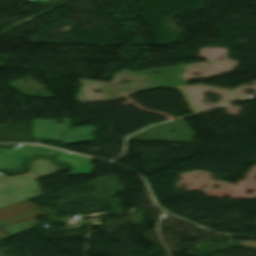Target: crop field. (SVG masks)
Wrapping results in <instances>:
<instances>
[{
  "instance_id": "9",
  "label": "crop field",
  "mask_w": 256,
  "mask_h": 256,
  "mask_svg": "<svg viewBox=\"0 0 256 256\" xmlns=\"http://www.w3.org/2000/svg\"><path fill=\"white\" fill-rule=\"evenodd\" d=\"M98 216H106V215H98ZM93 217H97V216H92V217H88V218H93ZM88 218H83V219H88Z\"/></svg>"
},
{
  "instance_id": "5",
  "label": "crop field",
  "mask_w": 256,
  "mask_h": 256,
  "mask_svg": "<svg viewBox=\"0 0 256 256\" xmlns=\"http://www.w3.org/2000/svg\"><path fill=\"white\" fill-rule=\"evenodd\" d=\"M32 210L20 203L0 209V219Z\"/></svg>"
},
{
  "instance_id": "10",
  "label": "crop field",
  "mask_w": 256,
  "mask_h": 256,
  "mask_svg": "<svg viewBox=\"0 0 256 256\" xmlns=\"http://www.w3.org/2000/svg\"><path fill=\"white\" fill-rule=\"evenodd\" d=\"M88 224V220L84 221L83 225H87Z\"/></svg>"
},
{
  "instance_id": "8",
  "label": "crop field",
  "mask_w": 256,
  "mask_h": 256,
  "mask_svg": "<svg viewBox=\"0 0 256 256\" xmlns=\"http://www.w3.org/2000/svg\"><path fill=\"white\" fill-rule=\"evenodd\" d=\"M21 203H23V204H25V205H27V206L33 208V209L38 208L37 206H35V205H33V204H31V203H29V202H27V201H24V202H21Z\"/></svg>"
},
{
  "instance_id": "4",
  "label": "crop field",
  "mask_w": 256,
  "mask_h": 256,
  "mask_svg": "<svg viewBox=\"0 0 256 256\" xmlns=\"http://www.w3.org/2000/svg\"><path fill=\"white\" fill-rule=\"evenodd\" d=\"M46 214L37 209L0 220V229Z\"/></svg>"
},
{
  "instance_id": "2",
  "label": "crop field",
  "mask_w": 256,
  "mask_h": 256,
  "mask_svg": "<svg viewBox=\"0 0 256 256\" xmlns=\"http://www.w3.org/2000/svg\"><path fill=\"white\" fill-rule=\"evenodd\" d=\"M58 160L64 161L70 164L73 168L68 174V176L76 174H91L94 166L90 165V158H86L80 155H74L66 152L58 151Z\"/></svg>"
},
{
  "instance_id": "3",
  "label": "crop field",
  "mask_w": 256,
  "mask_h": 256,
  "mask_svg": "<svg viewBox=\"0 0 256 256\" xmlns=\"http://www.w3.org/2000/svg\"><path fill=\"white\" fill-rule=\"evenodd\" d=\"M96 131L97 129L92 126L65 131L62 145L95 140L94 136L91 135Z\"/></svg>"
},
{
  "instance_id": "6",
  "label": "crop field",
  "mask_w": 256,
  "mask_h": 256,
  "mask_svg": "<svg viewBox=\"0 0 256 256\" xmlns=\"http://www.w3.org/2000/svg\"><path fill=\"white\" fill-rule=\"evenodd\" d=\"M35 221H36V218L26 221V222H23V223H20V224H17V225H14V226H11V227H8V228H5V229H2V230L5 231L10 236H13V235L28 231L30 229H33L32 224Z\"/></svg>"
},
{
  "instance_id": "1",
  "label": "crop field",
  "mask_w": 256,
  "mask_h": 256,
  "mask_svg": "<svg viewBox=\"0 0 256 256\" xmlns=\"http://www.w3.org/2000/svg\"><path fill=\"white\" fill-rule=\"evenodd\" d=\"M39 122L40 124L38 125ZM52 122L54 126L51 125ZM70 128L69 119H63V125L56 124L54 120H33V138L61 141L63 130Z\"/></svg>"
},
{
  "instance_id": "7",
  "label": "crop field",
  "mask_w": 256,
  "mask_h": 256,
  "mask_svg": "<svg viewBox=\"0 0 256 256\" xmlns=\"http://www.w3.org/2000/svg\"><path fill=\"white\" fill-rule=\"evenodd\" d=\"M7 237H10L9 235H7L5 232H3L2 230H0V240L5 239Z\"/></svg>"
}]
</instances>
